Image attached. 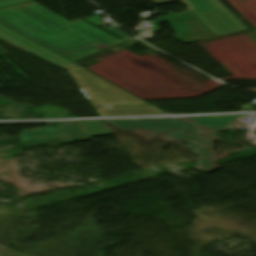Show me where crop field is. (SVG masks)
Returning a JSON list of instances; mask_svg holds the SVG:
<instances>
[{"label":"crop field","instance_id":"crop-field-1","mask_svg":"<svg viewBox=\"0 0 256 256\" xmlns=\"http://www.w3.org/2000/svg\"><path fill=\"white\" fill-rule=\"evenodd\" d=\"M0 23L73 62L132 39L121 40L80 19L69 22L35 2L0 10Z\"/></svg>","mask_w":256,"mask_h":256},{"label":"crop field","instance_id":"crop-field-2","mask_svg":"<svg viewBox=\"0 0 256 256\" xmlns=\"http://www.w3.org/2000/svg\"><path fill=\"white\" fill-rule=\"evenodd\" d=\"M155 5L182 1L190 11L168 15V23L178 37L188 44L247 28L218 0H150Z\"/></svg>","mask_w":256,"mask_h":256},{"label":"crop field","instance_id":"crop-field-3","mask_svg":"<svg viewBox=\"0 0 256 256\" xmlns=\"http://www.w3.org/2000/svg\"><path fill=\"white\" fill-rule=\"evenodd\" d=\"M106 124L122 131H133L142 139H149L158 136L164 140L181 139L188 146L193 147L192 152L200 155L198 170L207 173L218 169L214 165L215 154L190 139L182 136L191 127L175 119H132L105 121Z\"/></svg>","mask_w":256,"mask_h":256},{"label":"crop field","instance_id":"crop-field-4","mask_svg":"<svg viewBox=\"0 0 256 256\" xmlns=\"http://www.w3.org/2000/svg\"><path fill=\"white\" fill-rule=\"evenodd\" d=\"M104 121L59 123L56 128L48 127L21 133L24 146L62 141L63 144L89 140V137L110 135Z\"/></svg>","mask_w":256,"mask_h":256},{"label":"crop field","instance_id":"crop-field-5","mask_svg":"<svg viewBox=\"0 0 256 256\" xmlns=\"http://www.w3.org/2000/svg\"><path fill=\"white\" fill-rule=\"evenodd\" d=\"M68 72L83 94H91L89 98L95 106L147 104L79 66Z\"/></svg>","mask_w":256,"mask_h":256},{"label":"crop field","instance_id":"crop-field-6","mask_svg":"<svg viewBox=\"0 0 256 256\" xmlns=\"http://www.w3.org/2000/svg\"><path fill=\"white\" fill-rule=\"evenodd\" d=\"M249 115H235V116H216V117H200V118H184L179 119L192 126L189 132L184 134L199 144L214 151L216 140L201 133L200 131H218V130H234L232 124H236L235 120L249 119Z\"/></svg>","mask_w":256,"mask_h":256},{"label":"crop field","instance_id":"crop-field-7","mask_svg":"<svg viewBox=\"0 0 256 256\" xmlns=\"http://www.w3.org/2000/svg\"><path fill=\"white\" fill-rule=\"evenodd\" d=\"M0 40L11 44L21 50H24L34 56H37L49 63H52L62 69H68L76 66L75 64L63 59L62 57L46 50L45 48L31 42L30 40L14 33L13 31L0 25Z\"/></svg>","mask_w":256,"mask_h":256},{"label":"crop field","instance_id":"crop-field-8","mask_svg":"<svg viewBox=\"0 0 256 256\" xmlns=\"http://www.w3.org/2000/svg\"><path fill=\"white\" fill-rule=\"evenodd\" d=\"M98 111L103 116L166 114L150 105L101 107Z\"/></svg>","mask_w":256,"mask_h":256},{"label":"crop field","instance_id":"crop-field-9","mask_svg":"<svg viewBox=\"0 0 256 256\" xmlns=\"http://www.w3.org/2000/svg\"><path fill=\"white\" fill-rule=\"evenodd\" d=\"M37 109H40V111L43 113V118H47L46 116H49V118L68 117V115L74 117L71 113H67L65 109L55 106L46 105L31 111L36 112Z\"/></svg>","mask_w":256,"mask_h":256},{"label":"crop field","instance_id":"crop-field-10","mask_svg":"<svg viewBox=\"0 0 256 256\" xmlns=\"http://www.w3.org/2000/svg\"><path fill=\"white\" fill-rule=\"evenodd\" d=\"M117 28H118V27L113 26V27L105 28V29H103V30H105V31H107V32H109V33H111V34H113V35H115V36H117V37H119V38H121V39H124V38H126V37H129L127 34H125L124 32H122V31H120V30H118Z\"/></svg>","mask_w":256,"mask_h":256},{"label":"crop field","instance_id":"crop-field-11","mask_svg":"<svg viewBox=\"0 0 256 256\" xmlns=\"http://www.w3.org/2000/svg\"><path fill=\"white\" fill-rule=\"evenodd\" d=\"M31 0H0V8L27 2Z\"/></svg>","mask_w":256,"mask_h":256},{"label":"crop field","instance_id":"crop-field-12","mask_svg":"<svg viewBox=\"0 0 256 256\" xmlns=\"http://www.w3.org/2000/svg\"><path fill=\"white\" fill-rule=\"evenodd\" d=\"M84 20L87 21V22H89V23H91V24H93V25H95V26H97V27L102 26V23H101L102 18H101V16H99L98 14H96V15H94V16H91V17H89V18H86V19H84Z\"/></svg>","mask_w":256,"mask_h":256},{"label":"crop field","instance_id":"crop-field-13","mask_svg":"<svg viewBox=\"0 0 256 256\" xmlns=\"http://www.w3.org/2000/svg\"><path fill=\"white\" fill-rule=\"evenodd\" d=\"M142 38H152L154 36L153 32L139 33Z\"/></svg>","mask_w":256,"mask_h":256}]
</instances>
